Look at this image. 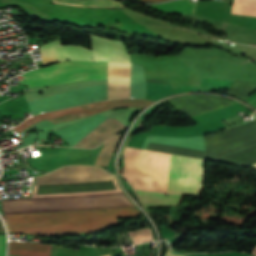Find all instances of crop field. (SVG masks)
Here are the masks:
<instances>
[{
	"label": "crop field",
	"instance_id": "crop-field-12",
	"mask_svg": "<svg viewBox=\"0 0 256 256\" xmlns=\"http://www.w3.org/2000/svg\"><path fill=\"white\" fill-rule=\"evenodd\" d=\"M0 231H5V230H4V227H3V225H2L1 220H0Z\"/></svg>",
	"mask_w": 256,
	"mask_h": 256
},
{
	"label": "crop field",
	"instance_id": "crop-field-10",
	"mask_svg": "<svg viewBox=\"0 0 256 256\" xmlns=\"http://www.w3.org/2000/svg\"><path fill=\"white\" fill-rule=\"evenodd\" d=\"M54 3L81 7H124L115 0H54Z\"/></svg>",
	"mask_w": 256,
	"mask_h": 256
},
{
	"label": "crop field",
	"instance_id": "crop-field-15",
	"mask_svg": "<svg viewBox=\"0 0 256 256\" xmlns=\"http://www.w3.org/2000/svg\"><path fill=\"white\" fill-rule=\"evenodd\" d=\"M243 256H250V255L244 254Z\"/></svg>",
	"mask_w": 256,
	"mask_h": 256
},
{
	"label": "crop field",
	"instance_id": "crop-field-3",
	"mask_svg": "<svg viewBox=\"0 0 256 256\" xmlns=\"http://www.w3.org/2000/svg\"><path fill=\"white\" fill-rule=\"evenodd\" d=\"M60 42L40 47L44 66L59 60L108 61V99L119 98V61H129L124 43L91 35V51L81 45L60 46ZM120 98H131L130 62H120Z\"/></svg>",
	"mask_w": 256,
	"mask_h": 256
},
{
	"label": "crop field",
	"instance_id": "crop-field-2",
	"mask_svg": "<svg viewBox=\"0 0 256 256\" xmlns=\"http://www.w3.org/2000/svg\"><path fill=\"white\" fill-rule=\"evenodd\" d=\"M205 160L126 147L122 175L136 189L198 195Z\"/></svg>",
	"mask_w": 256,
	"mask_h": 256
},
{
	"label": "crop field",
	"instance_id": "crop-field-1",
	"mask_svg": "<svg viewBox=\"0 0 256 256\" xmlns=\"http://www.w3.org/2000/svg\"><path fill=\"white\" fill-rule=\"evenodd\" d=\"M117 180L96 166L71 165L37 177L35 184ZM122 192L117 181L35 185L33 196ZM4 214L134 206L124 193L34 197L1 201Z\"/></svg>",
	"mask_w": 256,
	"mask_h": 256
},
{
	"label": "crop field",
	"instance_id": "crop-field-4",
	"mask_svg": "<svg viewBox=\"0 0 256 256\" xmlns=\"http://www.w3.org/2000/svg\"><path fill=\"white\" fill-rule=\"evenodd\" d=\"M134 207L52 212L35 214L5 215L11 232L37 233L73 230L101 229L117 225V218L137 216Z\"/></svg>",
	"mask_w": 256,
	"mask_h": 256
},
{
	"label": "crop field",
	"instance_id": "crop-field-13",
	"mask_svg": "<svg viewBox=\"0 0 256 256\" xmlns=\"http://www.w3.org/2000/svg\"><path fill=\"white\" fill-rule=\"evenodd\" d=\"M166 256H178V255H173L172 253L167 252Z\"/></svg>",
	"mask_w": 256,
	"mask_h": 256
},
{
	"label": "crop field",
	"instance_id": "crop-field-14",
	"mask_svg": "<svg viewBox=\"0 0 256 256\" xmlns=\"http://www.w3.org/2000/svg\"><path fill=\"white\" fill-rule=\"evenodd\" d=\"M144 1H165V0H144Z\"/></svg>",
	"mask_w": 256,
	"mask_h": 256
},
{
	"label": "crop field",
	"instance_id": "crop-field-6",
	"mask_svg": "<svg viewBox=\"0 0 256 256\" xmlns=\"http://www.w3.org/2000/svg\"><path fill=\"white\" fill-rule=\"evenodd\" d=\"M150 103H152V101H145V100H138V99H120V100L95 102V103L63 109V110H59L51 113L40 114L38 116H34L26 120L24 123L15 127L14 129L20 133L29 125L40 120L48 119L56 123V122L67 121V120H72V119L92 115L98 112H102L108 109L118 108V107H132V108L141 109L149 105Z\"/></svg>",
	"mask_w": 256,
	"mask_h": 256
},
{
	"label": "crop field",
	"instance_id": "crop-field-7",
	"mask_svg": "<svg viewBox=\"0 0 256 256\" xmlns=\"http://www.w3.org/2000/svg\"><path fill=\"white\" fill-rule=\"evenodd\" d=\"M52 246L49 244L10 241L11 256H51Z\"/></svg>",
	"mask_w": 256,
	"mask_h": 256
},
{
	"label": "crop field",
	"instance_id": "crop-field-9",
	"mask_svg": "<svg viewBox=\"0 0 256 256\" xmlns=\"http://www.w3.org/2000/svg\"><path fill=\"white\" fill-rule=\"evenodd\" d=\"M197 3L190 2V0H178L173 2H168L160 5H148L157 9L159 12L165 14H175V13H195Z\"/></svg>",
	"mask_w": 256,
	"mask_h": 256
},
{
	"label": "crop field",
	"instance_id": "crop-field-5",
	"mask_svg": "<svg viewBox=\"0 0 256 256\" xmlns=\"http://www.w3.org/2000/svg\"><path fill=\"white\" fill-rule=\"evenodd\" d=\"M20 81L29 87L68 83L91 78H106V62L62 61L54 65L22 74Z\"/></svg>",
	"mask_w": 256,
	"mask_h": 256
},
{
	"label": "crop field",
	"instance_id": "crop-field-11",
	"mask_svg": "<svg viewBox=\"0 0 256 256\" xmlns=\"http://www.w3.org/2000/svg\"><path fill=\"white\" fill-rule=\"evenodd\" d=\"M6 236L0 235V256H5Z\"/></svg>",
	"mask_w": 256,
	"mask_h": 256
},
{
	"label": "crop field",
	"instance_id": "crop-field-8",
	"mask_svg": "<svg viewBox=\"0 0 256 256\" xmlns=\"http://www.w3.org/2000/svg\"><path fill=\"white\" fill-rule=\"evenodd\" d=\"M143 207L167 205V204H179L182 196L164 194L148 193L135 190Z\"/></svg>",
	"mask_w": 256,
	"mask_h": 256
}]
</instances>
